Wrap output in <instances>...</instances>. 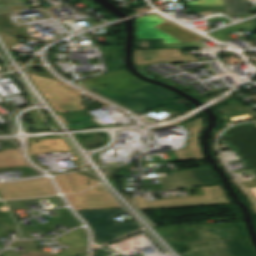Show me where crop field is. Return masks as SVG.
<instances>
[{
  "mask_svg": "<svg viewBox=\"0 0 256 256\" xmlns=\"http://www.w3.org/2000/svg\"><path fill=\"white\" fill-rule=\"evenodd\" d=\"M50 198H55L59 204V206H65L63 204V202L61 201V199L59 198V196H55V197H47V198H40L39 200H42V199H50Z\"/></svg>",
  "mask_w": 256,
  "mask_h": 256,
  "instance_id": "crop-field-28",
  "label": "crop field"
},
{
  "mask_svg": "<svg viewBox=\"0 0 256 256\" xmlns=\"http://www.w3.org/2000/svg\"><path fill=\"white\" fill-rule=\"evenodd\" d=\"M29 76L55 111L66 113L86 109L79 103L82 100L79 91L59 84L58 81L36 76L31 72Z\"/></svg>",
  "mask_w": 256,
  "mask_h": 256,
  "instance_id": "crop-field-3",
  "label": "crop field"
},
{
  "mask_svg": "<svg viewBox=\"0 0 256 256\" xmlns=\"http://www.w3.org/2000/svg\"><path fill=\"white\" fill-rule=\"evenodd\" d=\"M155 28L182 41V42L204 39L201 36L191 32L181 26H178L170 21H168L164 24H161Z\"/></svg>",
  "mask_w": 256,
  "mask_h": 256,
  "instance_id": "crop-field-16",
  "label": "crop field"
},
{
  "mask_svg": "<svg viewBox=\"0 0 256 256\" xmlns=\"http://www.w3.org/2000/svg\"><path fill=\"white\" fill-rule=\"evenodd\" d=\"M197 4L202 6L224 5L223 0H199L196 2L188 3L189 6H195Z\"/></svg>",
  "mask_w": 256,
  "mask_h": 256,
  "instance_id": "crop-field-24",
  "label": "crop field"
},
{
  "mask_svg": "<svg viewBox=\"0 0 256 256\" xmlns=\"http://www.w3.org/2000/svg\"><path fill=\"white\" fill-rule=\"evenodd\" d=\"M41 142L35 143V141H30L31 146L29 149V154H39L46 152H60V151H69L67 147L64 145V139H49V140H40Z\"/></svg>",
  "mask_w": 256,
  "mask_h": 256,
  "instance_id": "crop-field-17",
  "label": "crop field"
},
{
  "mask_svg": "<svg viewBox=\"0 0 256 256\" xmlns=\"http://www.w3.org/2000/svg\"><path fill=\"white\" fill-rule=\"evenodd\" d=\"M193 226L202 240L187 243L192 252L183 256H256L243 223Z\"/></svg>",
  "mask_w": 256,
  "mask_h": 256,
  "instance_id": "crop-field-1",
  "label": "crop field"
},
{
  "mask_svg": "<svg viewBox=\"0 0 256 256\" xmlns=\"http://www.w3.org/2000/svg\"><path fill=\"white\" fill-rule=\"evenodd\" d=\"M77 83L107 99L149 85L125 70L104 74Z\"/></svg>",
  "mask_w": 256,
  "mask_h": 256,
  "instance_id": "crop-field-4",
  "label": "crop field"
},
{
  "mask_svg": "<svg viewBox=\"0 0 256 256\" xmlns=\"http://www.w3.org/2000/svg\"><path fill=\"white\" fill-rule=\"evenodd\" d=\"M77 212L85 219L94 234V242L99 245L125 236L139 228L136 222L122 223L119 226L112 225L111 218L113 215L127 213L122 208L81 210Z\"/></svg>",
  "mask_w": 256,
  "mask_h": 256,
  "instance_id": "crop-field-2",
  "label": "crop field"
},
{
  "mask_svg": "<svg viewBox=\"0 0 256 256\" xmlns=\"http://www.w3.org/2000/svg\"><path fill=\"white\" fill-rule=\"evenodd\" d=\"M21 256H49V255H45V254H42V253H38V252L28 250L27 252H25Z\"/></svg>",
  "mask_w": 256,
  "mask_h": 256,
  "instance_id": "crop-field-26",
  "label": "crop field"
},
{
  "mask_svg": "<svg viewBox=\"0 0 256 256\" xmlns=\"http://www.w3.org/2000/svg\"><path fill=\"white\" fill-rule=\"evenodd\" d=\"M206 47L198 41L164 45L162 39H136V48H158V49H173V48H203Z\"/></svg>",
  "mask_w": 256,
  "mask_h": 256,
  "instance_id": "crop-field-15",
  "label": "crop field"
},
{
  "mask_svg": "<svg viewBox=\"0 0 256 256\" xmlns=\"http://www.w3.org/2000/svg\"><path fill=\"white\" fill-rule=\"evenodd\" d=\"M28 7L23 0H0V13Z\"/></svg>",
  "mask_w": 256,
  "mask_h": 256,
  "instance_id": "crop-field-22",
  "label": "crop field"
},
{
  "mask_svg": "<svg viewBox=\"0 0 256 256\" xmlns=\"http://www.w3.org/2000/svg\"><path fill=\"white\" fill-rule=\"evenodd\" d=\"M63 217L51 221L49 223L43 224L38 227H23L25 231H31V230H40V229H45L47 227H50L56 223L68 226V227H75L81 225V223L70 213V211L67 208L60 209Z\"/></svg>",
  "mask_w": 256,
  "mask_h": 256,
  "instance_id": "crop-field-19",
  "label": "crop field"
},
{
  "mask_svg": "<svg viewBox=\"0 0 256 256\" xmlns=\"http://www.w3.org/2000/svg\"><path fill=\"white\" fill-rule=\"evenodd\" d=\"M29 166V165H28ZM17 149H7L0 152V168L28 167Z\"/></svg>",
  "mask_w": 256,
  "mask_h": 256,
  "instance_id": "crop-field-18",
  "label": "crop field"
},
{
  "mask_svg": "<svg viewBox=\"0 0 256 256\" xmlns=\"http://www.w3.org/2000/svg\"><path fill=\"white\" fill-rule=\"evenodd\" d=\"M76 210L120 207L108 192L68 195Z\"/></svg>",
  "mask_w": 256,
  "mask_h": 256,
  "instance_id": "crop-field-9",
  "label": "crop field"
},
{
  "mask_svg": "<svg viewBox=\"0 0 256 256\" xmlns=\"http://www.w3.org/2000/svg\"><path fill=\"white\" fill-rule=\"evenodd\" d=\"M203 189L205 196L163 199L152 202H146L143 197H140L136 199V202L139 209L171 208L228 203L224 193L219 186L205 187Z\"/></svg>",
  "mask_w": 256,
  "mask_h": 256,
  "instance_id": "crop-field-6",
  "label": "crop field"
},
{
  "mask_svg": "<svg viewBox=\"0 0 256 256\" xmlns=\"http://www.w3.org/2000/svg\"><path fill=\"white\" fill-rule=\"evenodd\" d=\"M117 43H110L112 45V48L110 50V55L108 57V64L110 66L111 72L117 71L118 68L122 67L120 61L118 60L119 56V47L114 46Z\"/></svg>",
  "mask_w": 256,
  "mask_h": 256,
  "instance_id": "crop-field-23",
  "label": "crop field"
},
{
  "mask_svg": "<svg viewBox=\"0 0 256 256\" xmlns=\"http://www.w3.org/2000/svg\"><path fill=\"white\" fill-rule=\"evenodd\" d=\"M157 15L152 14L136 19L137 38H163L164 44L180 42L153 28L165 22V19Z\"/></svg>",
  "mask_w": 256,
  "mask_h": 256,
  "instance_id": "crop-field-11",
  "label": "crop field"
},
{
  "mask_svg": "<svg viewBox=\"0 0 256 256\" xmlns=\"http://www.w3.org/2000/svg\"><path fill=\"white\" fill-rule=\"evenodd\" d=\"M60 244H67L70 248L62 251L55 256H73L86 251L87 248V234L83 228L69 232L56 239Z\"/></svg>",
  "mask_w": 256,
  "mask_h": 256,
  "instance_id": "crop-field-13",
  "label": "crop field"
},
{
  "mask_svg": "<svg viewBox=\"0 0 256 256\" xmlns=\"http://www.w3.org/2000/svg\"><path fill=\"white\" fill-rule=\"evenodd\" d=\"M14 243H16V244H18L20 246H23V247H25L27 249H30V248L35 246L32 240L15 241Z\"/></svg>",
  "mask_w": 256,
  "mask_h": 256,
  "instance_id": "crop-field-25",
  "label": "crop field"
},
{
  "mask_svg": "<svg viewBox=\"0 0 256 256\" xmlns=\"http://www.w3.org/2000/svg\"><path fill=\"white\" fill-rule=\"evenodd\" d=\"M171 175L172 177L160 178L165 189L217 184L214 175L209 168L173 172Z\"/></svg>",
  "mask_w": 256,
  "mask_h": 256,
  "instance_id": "crop-field-8",
  "label": "crop field"
},
{
  "mask_svg": "<svg viewBox=\"0 0 256 256\" xmlns=\"http://www.w3.org/2000/svg\"><path fill=\"white\" fill-rule=\"evenodd\" d=\"M191 132V137L188 139L187 145L175 151L180 161L203 159L198 146V133L202 128V120L197 119L193 122L184 124Z\"/></svg>",
  "mask_w": 256,
  "mask_h": 256,
  "instance_id": "crop-field-12",
  "label": "crop field"
},
{
  "mask_svg": "<svg viewBox=\"0 0 256 256\" xmlns=\"http://www.w3.org/2000/svg\"><path fill=\"white\" fill-rule=\"evenodd\" d=\"M177 98H179L177 95L166 89L152 85L145 89L130 92L111 100L139 114L147 109H153L165 102Z\"/></svg>",
  "mask_w": 256,
  "mask_h": 256,
  "instance_id": "crop-field-5",
  "label": "crop field"
},
{
  "mask_svg": "<svg viewBox=\"0 0 256 256\" xmlns=\"http://www.w3.org/2000/svg\"><path fill=\"white\" fill-rule=\"evenodd\" d=\"M0 193L4 199L56 194L47 179L0 184Z\"/></svg>",
  "mask_w": 256,
  "mask_h": 256,
  "instance_id": "crop-field-7",
  "label": "crop field"
},
{
  "mask_svg": "<svg viewBox=\"0 0 256 256\" xmlns=\"http://www.w3.org/2000/svg\"><path fill=\"white\" fill-rule=\"evenodd\" d=\"M0 255H2V256H20V255L14 253V252H11V251H8V250L4 251Z\"/></svg>",
  "mask_w": 256,
  "mask_h": 256,
  "instance_id": "crop-field-27",
  "label": "crop field"
},
{
  "mask_svg": "<svg viewBox=\"0 0 256 256\" xmlns=\"http://www.w3.org/2000/svg\"><path fill=\"white\" fill-rule=\"evenodd\" d=\"M64 193L84 190L97 183V180L82 173L55 177Z\"/></svg>",
  "mask_w": 256,
  "mask_h": 256,
  "instance_id": "crop-field-14",
  "label": "crop field"
},
{
  "mask_svg": "<svg viewBox=\"0 0 256 256\" xmlns=\"http://www.w3.org/2000/svg\"><path fill=\"white\" fill-rule=\"evenodd\" d=\"M227 15L247 13L246 0H224Z\"/></svg>",
  "mask_w": 256,
  "mask_h": 256,
  "instance_id": "crop-field-21",
  "label": "crop field"
},
{
  "mask_svg": "<svg viewBox=\"0 0 256 256\" xmlns=\"http://www.w3.org/2000/svg\"><path fill=\"white\" fill-rule=\"evenodd\" d=\"M241 29H243L245 31H249L251 33L256 31V21L239 23L234 26L220 29L218 31L210 33L209 35L219 39L220 41H223V40H227V38H225L224 36L231 34V32H233V31H237V30H241Z\"/></svg>",
  "mask_w": 256,
  "mask_h": 256,
  "instance_id": "crop-field-20",
  "label": "crop field"
},
{
  "mask_svg": "<svg viewBox=\"0 0 256 256\" xmlns=\"http://www.w3.org/2000/svg\"><path fill=\"white\" fill-rule=\"evenodd\" d=\"M162 60H168L170 62L199 61L192 55L182 56L179 50H135L134 53L136 65Z\"/></svg>",
  "mask_w": 256,
  "mask_h": 256,
  "instance_id": "crop-field-10",
  "label": "crop field"
}]
</instances>
